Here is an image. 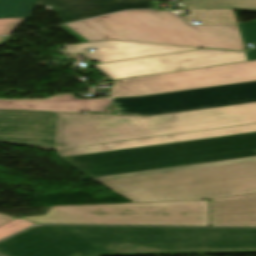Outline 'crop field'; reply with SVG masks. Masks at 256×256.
Here are the masks:
<instances>
[{"mask_svg":"<svg viewBox=\"0 0 256 256\" xmlns=\"http://www.w3.org/2000/svg\"><path fill=\"white\" fill-rule=\"evenodd\" d=\"M62 159L134 202L256 193V133Z\"/></svg>","mask_w":256,"mask_h":256,"instance_id":"crop-field-1","label":"crop field"},{"mask_svg":"<svg viewBox=\"0 0 256 256\" xmlns=\"http://www.w3.org/2000/svg\"><path fill=\"white\" fill-rule=\"evenodd\" d=\"M256 122V102L152 117L0 110V142L46 148L110 141ZM256 132V125L197 131L56 151L59 157Z\"/></svg>","mask_w":256,"mask_h":256,"instance_id":"crop-field-2","label":"crop field"},{"mask_svg":"<svg viewBox=\"0 0 256 256\" xmlns=\"http://www.w3.org/2000/svg\"><path fill=\"white\" fill-rule=\"evenodd\" d=\"M10 256L256 252V229L38 226L0 242Z\"/></svg>","mask_w":256,"mask_h":256,"instance_id":"crop-field-3","label":"crop field"},{"mask_svg":"<svg viewBox=\"0 0 256 256\" xmlns=\"http://www.w3.org/2000/svg\"><path fill=\"white\" fill-rule=\"evenodd\" d=\"M61 28L81 42L118 40L244 51L238 26L191 27L169 11H124Z\"/></svg>","mask_w":256,"mask_h":256,"instance_id":"crop-field-4","label":"crop field"},{"mask_svg":"<svg viewBox=\"0 0 256 256\" xmlns=\"http://www.w3.org/2000/svg\"><path fill=\"white\" fill-rule=\"evenodd\" d=\"M37 223L209 226L208 201L124 203L52 207Z\"/></svg>","mask_w":256,"mask_h":256,"instance_id":"crop-field-5","label":"crop field"},{"mask_svg":"<svg viewBox=\"0 0 256 256\" xmlns=\"http://www.w3.org/2000/svg\"><path fill=\"white\" fill-rule=\"evenodd\" d=\"M256 101V82L173 92L148 97L114 98L123 115L152 116Z\"/></svg>","mask_w":256,"mask_h":256,"instance_id":"crop-field-6","label":"crop field"},{"mask_svg":"<svg viewBox=\"0 0 256 256\" xmlns=\"http://www.w3.org/2000/svg\"><path fill=\"white\" fill-rule=\"evenodd\" d=\"M256 80V61L114 81L110 97L201 88Z\"/></svg>","mask_w":256,"mask_h":256,"instance_id":"crop-field-7","label":"crop field"},{"mask_svg":"<svg viewBox=\"0 0 256 256\" xmlns=\"http://www.w3.org/2000/svg\"><path fill=\"white\" fill-rule=\"evenodd\" d=\"M247 61L245 52L194 50L137 58L95 67L113 80Z\"/></svg>","mask_w":256,"mask_h":256,"instance_id":"crop-field-8","label":"crop field"},{"mask_svg":"<svg viewBox=\"0 0 256 256\" xmlns=\"http://www.w3.org/2000/svg\"><path fill=\"white\" fill-rule=\"evenodd\" d=\"M93 47L95 52L86 53L87 59L99 62L116 61L172 51L195 49L165 45L141 44L118 41H101L93 43H78L63 46L66 55L87 52L85 48Z\"/></svg>","mask_w":256,"mask_h":256,"instance_id":"crop-field-9","label":"crop field"},{"mask_svg":"<svg viewBox=\"0 0 256 256\" xmlns=\"http://www.w3.org/2000/svg\"><path fill=\"white\" fill-rule=\"evenodd\" d=\"M36 5L52 6L64 23L123 9L153 8L150 0H38Z\"/></svg>","mask_w":256,"mask_h":256,"instance_id":"crop-field-10","label":"crop field"},{"mask_svg":"<svg viewBox=\"0 0 256 256\" xmlns=\"http://www.w3.org/2000/svg\"><path fill=\"white\" fill-rule=\"evenodd\" d=\"M210 226H255L256 194L209 199Z\"/></svg>","mask_w":256,"mask_h":256,"instance_id":"crop-field-11","label":"crop field"},{"mask_svg":"<svg viewBox=\"0 0 256 256\" xmlns=\"http://www.w3.org/2000/svg\"><path fill=\"white\" fill-rule=\"evenodd\" d=\"M110 99H76L73 94L63 95L44 101L0 100V109L78 113L80 111H104Z\"/></svg>","mask_w":256,"mask_h":256,"instance_id":"crop-field-12","label":"crop field"},{"mask_svg":"<svg viewBox=\"0 0 256 256\" xmlns=\"http://www.w3.org/2000/svg\"><path fill=\"white\" fill-rule=\"evenodd\" d=\"M186 9H235L256 12V0H183Z\"/></svg>","mask_w":256,"mask_h":256,"instance_id":"crop-field-13","label":"crop field"},{"mask_svg":"<svg viewBox=\"0 0 256 256\" xmlns=\"http://www.w3.org/2000/svg\"><path fill=\"white\" fill-rule=\"evenodd\" d=\"M184 20H197L202 24L238 25L234 10H191Z\"/></svg>","mask_w":256,"mask_h":256,"instance_id":"crop-field-14","label":"crop field"},{"mask_svg":"<svg viewBox=\"0 0 256 256\" xmlns=\"http://www.w3.org/2000/svg\"><path fill=\"white\" fill-rule=\"evenodd\" d=\"M37 0H0L1 17L31 16Z\"/></svg>","mask_w":256,"mask_h":256,"instance_id":"crop-field-15","label":"crop field"},{"mask_svg":"<svg viewBox=\"0 0 256 256\" xmlns=\"http://www.w3.org/2000/svg\"><path fill=\"white\" fill-rule=\"evenodd\" d=\"M31 225H33V223H29L19 219L7 223L0 227V240L12 234H15Z\"/></svg>","mask_w":256,"mask_h":256,"instance_id":"crop-field-16","label":"crop field"},{"mask_svg":"<svg viewBox=\"0 0 256 256\" xmlns=\"http://www.w3.org/2000/svg\"><path fill=\"white\" fill-rule=\"evenodd\" d=\"M243 39V43L256 42V21L238 23Z\"/></svg>","mask_w":256,"mask_h":256,"instance_id":"crop-field-17","label":"crop field"},{"mask_svg":"<svg viewBox=\"0 0 256 256\" xmlns=\"http://www.w3.org/2000/svg\"><path fill=\"white\" fill-rule=\"evenodd\" d=\"M26 18L0 19V35H10L13 29Z\"/></svg>","mask_w":256,"mask_h":256,"instance_id":"crop-field-18","label":"crop field"},{"mask_svg":"<svg viewBox=\"0 0 256 256\" xmlns=\"http://www.w3.org/2000/svg\"><path fill=\"white\" fill-rule=\"evenodd\" d=\"M253 46L254 49H249V51L246 52L248 61L256 60V43L253 44Z\"/></svg>","mask_w":256,"mask_h":256,"instance_id":"crop-field-19","label":"crop field"},{"mask_svg":"<svg viewBox=\"0 0 256 256\" xmlns=\"http://www.w3.org/2000/svg\"><path fill=\"white\" fill-rule=\"evenodd\" d=\"M14 219H16V218L8 216V215L0 214V226L7 222H10Z\"/></svg>","mask_w":256,"mask_h":256,"instance_id":"crop-field-20","label":"crop field"},{"mask_svg":"<svg viewBox=\"0 0 256 256\" xmlns=\"http://www.w3.org/2000/svg\"><path fill=\"white\" fill-rule=\"evenodd\" d=\"M9 40V37H0V45L7 42Z\"/></svg>","mask_w":256,"mask_h":256,"instance_id":"crop-field-21","label":"crop field"},{"mask_svg":"<svg viewBox=\"0 0 256 256\" xmlns=\"http://www.w3.org/2000/svg\"><path fill=\"white\" fill-rule=\"evenodd\" d=\"M0 256H4V255L0 254Z\"/></svg>","mask_w":256,"mask_h":256,"instance_id":"crop-field-22","label":"crop field"}]
</instances>
